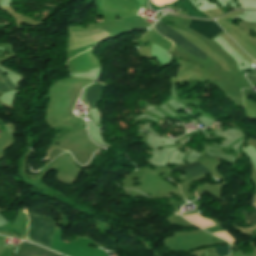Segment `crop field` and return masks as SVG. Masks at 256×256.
<instances>
[{
	"label": "crop field",
	"mask_w": 256,
	"mask_h": 256,
	"mask_svg": "<svg viewBox=\"0 0 256 256\" xmlns=\"http://www.w3.org/2000/svg\"><path fill=\"white\" fill-rule=\"evenodd\" d=\"M27 214L29 217L27 239L50 249L51 239L56 223L54 220L47 217L30 213Z\"/></svg>",
	"instance_id": "obj_1"
},
{
	"label": "crop field",
	"mask_w": 256,
	"mask_h": 256,
	"mask_svg": "<svg viewBox=\"0 0 256 256\" xmlns=\"http://www.w3.org/2000/svg\"><path fill=\"white\" fill-rule=\"evenodd\" d=\"M154 28L160 32L162 35L168 37L171 39L176 45H178L180 48L202 58L206 59L208 56L205 55L202 51H200L197 47H195L192 43H190L188 40H186L184 37H182L180 34L175 32L173 29L170 27L157 22L154 25ZM203 60V61H204Z\"/></svg>",
	"instance_id": "obj_2"
},
{
	"label": "crop field",
	"mask_w": 256,
	"mask_h": 256,
	"mask_svg": "<svg viewBox=\"0 0 256 256\" xmlns=\"http://www.w3.org/2000/svg\"><path fill=\"white\" fill-rule=\"evenodd\" d=\"M189 29L195 31L196 33L202 35L207 39H211L223 32L216 23L196 21L192 20Z\"/></svg>",
	"instance_id": "obj_3"
},
{
	"label": "crop field",
	"mask_w": 256,
	"mask_h": 256,
	"mask_svg": "<svg viewBox=\"0 0 256 256\" xmlns=\"http://www.w3.org/2000/svg\"><path fill=\"white\" fill-rule=\"evenodd\" d=\"M33 255H40V256H61L54 252L48 251L41 247H38L34 244L22 242L18 248L17 253L13 256H33Z\"/></svg>",
	"instance_id": "obj_4"
},
{
	"label": "crop field",
	"mask_w": 256,
	"mask_h": 256,
	"mask_svg": "<svg viewBox=\"0 0 256 256\" xmlns=\"http://www.w3.org/2000/svg\"><path fill=\"white\" fill-rule=\"evenodd\" d=\"M175 170H182L185 173L187 180L198 177L205 173H211L199 162L176 166L175 168L171 169V172Z\"/></svg>",
	"instance_id": "obj_5"
},
{
	"label": "crop field",
	"mask_w": 256,
	"mask_h": 256,
	"mask_svg": "<svg viewBox=\"0 0 256 256\" xmlns=\"http://www.w3.org/2000/svg\"><path fill=\"white\" fill-rule=\"evenodd\" d=\"M99 84H103V83H99ZM99 84L94 85L93 87L89 88L86 91L85 102L89 104L91 109L96 108L95 106L102 99V93L104 89L103 85H106V84H103V85H99Z\"/></svg>",
	"instance_id": "obj_6"
},
{
	"label": "crop field",
	"mask_w": 256,
	"mask_h": 256,
	"mask_svg": "<svg viewBox=\"0 0 256 256\" xmlns=\"http://www.w3.org/2000/svg\"><path fill=\"white\" fill-rule=\"evenodd\" d=\"M175 4H177L179 6V9H186L188 11V16L201 17V18H209L207 15L197 11L193 7V5L189 2V0H186L185 2H177Z\"/></svg>",
	"instance_id": "obj_7"
},
{
	"label": "crop field",
	"mask_w": 256,
	"mask_h": 256,
	"mask_svg": "<svg viewBox=\"0 0 256 256\" xmlns=\"http://www.w3.org/2000/svg\"><path fill=\"white\" fill-rule=\"evenodd\" d=\"M254 213H256V210L254 212H252L251 214H254ZM243 214H244V219L248 224L249 223H252V224L256 223V215L255 216H250L249 215L250 213H247L245 210L243 211Z\"/></svg>",
	"instance_id": "obj_8"
},
{
	"label": "crop field",
	"mask_w": 256,
	"mask_h": 256,
	"mask_svg": "<svg viewBox=\"0 0 256 256\" xmlns=\"http://www.w3.org/2000/svg\"><path fill=\"white\" fill-rule=\"evenodd\" d=\"M215 248L218 251V252H216V254H218L219 256H224V255L229 254L228 253V246H218V247H215Z\"/></svg>",
	"instance_id": "obj_9"
},
{
	"label": "crop field",
	"mask_w": 256,
	"mask_h": 256,
	"mask_svg": "<svg viewBox=\"0 0 256 256\" xmlns=\"http://www.w3.org/2000/svg\"><path fill=\"white\" fill-rule=\"evenodd\" d=\"M0 78L6 83V85L10 88V90H15V87L13 86L10 79L7 76H4L1 71H0Z\"/></svg>",
	"instance_id": "obj_10"
},
{
	"label": "crop field",
	"mask_w": 256,
	"mask_h": 256,
	"mask_svg": "<svg viewBox=\"0 0 256 256\" xmlns=\"http://www.w3.org/2000/svg\"><path fill=\"white\" fill-rule=\"evenodd\" d=\"M7 91H9V90L7 89V87L5 86V84L0 83V92H1V93H5V92H7Z\"/></svg>",
	"instance_id": "obj_11"
},
{
	"label": "crop field",
	"mask_w": 256,
	"mask_h": 256,
	"mask_svg": "<svg viewBox=\"0 0 256 256\" xmlns=\"http://www.w3.org/2000/svg\"><path fill=\"white\" fill-rule=\"evenodd\" d=\"M251 80L255 81L256 82V77H250L248 76Z\"/></svg>",
	"instance_id": "obj_12"
}]
</instances>
